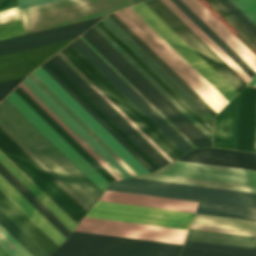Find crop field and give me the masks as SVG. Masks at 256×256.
<instances>
[{
	"label": "crop field",
	"mask_w": 256,
	"mask_h": 256,
	"mask_svg": "<svg viewBox=\"0 0 256 256\" xmlns=\"http://www.w3.org/2000/svg\"><path fill=\"white\" fill-rule=\"evenodd\" d=\"M130 0H62L20 10L26 34L106 16ZM101 18L0 41V55L76 38Z\"/></svg>",
	"instance_id": "8a807250"
},
{
	"label": "crop field",
	"mask_w": 256,
	"mask_h": 256,
	"mask_svg": "<svg viewBox=\"0 0 256 256\" xmlns=\"http://www.w3.org/2000/svg\"><path fill=\"white\" fill-rule=\"evenodd\" d=\"M181 161L256 170V154L230 150L193 149ZM137 178L256 193V171L175 161L162 170Z\"/></svg>",
	"instance_id": "ac0d7876"
},
{
	"label": "crop field",
	"mask_w": 256,
	"mask_h": 256,
	"mask_svg": "<svg viewBox=\"0 0 256 256\" xmlns=\"http://www.w3.org/2000/svg\"><path fill=\"white\" fill-rule=\"evenodd\" d=\"M0 127L74 199L89 210L102 192L6 99L0 103Z\"/></svg>",
	"instance_id": "34b2d1b8"
},
{
	"label": "crop field",
	"mask_w": 256,
	"mask_h": 256,
	"mask_svg": "<svg viewBox=\"0 0 256 256\" xmlns=\"http://www.w3.org/2000/svg\"><path fill=\"white\" fill-rule=\"evenodd\" d=\"M107 190L199 201L200 214L256 220V194L131 178Z\"/></svg>",
	"instance_id": "412701ff"
},
{
	"label": "crop field",
	"mask_w": 256,
	"mask_h": 256,
	"mask_svg": "<svg viewBox=\"0 0 256 256\" xmlns=\"http://www.w3.org/2000/svg\"><path fill=\"white\" fill-rule=\"evenodd\" d=\"M182 246L73 231L50 256H179Z\"/></svg>",
	"instance_id": "f4fd0767"
},
{
	"label": "crop field",
	"mask_w": 256,
	"mask_h": 256,
	"mask_svg": "<svg viewBox=\"0 0 256 256\" xmlns=\"http://www.w3.org/2000/svg\"><path fill=\"white\" fill-rule=\"evenodd\" d=\"M161 113H163L197 147L211 142L191 124L153 85H151L113 46L93 27L81 35Z\"/></svg>",
	"instance_id": "dd49c442"
},
{
	"label": "crop field",
	"mask_w": 256,
	"mask_h": 256,
	"mask_svg": "<svg viewBox=\"0 0 256 256\" xmlns=\"http://www.w3.org/2000/svg\"><path fill=\"white\" fill-rule=\"evenodd\" d=\"M256 89L245 87L216 117L213 147L256 152Z\"/></svg>",
	"instance_id": "e52e79f7"
},
{
	"label": "crop field",
	"mask_w": 256,
	"mask_h": 256,
	"mask_svg": "<svg viewBox=\"0 0 256 256\" xmlns=\"http://www.w3.org/2000/svg\"><path fill=\"white\" fill-rule=\"evenodd\" d=\"M0 150L76 224L87 212L1 128Z\"/></svg>",
	"instance_id": "d8731c3e"
},
{
	"label": "crop field",
	"mask_w": 256,
	"mask_h": 256,
	"mask_svg": "<svg viewBox=\"0 0 256 256\" xmlns=\"http://www.w3.org/2000/svg\"><path fill=\"white\" fill-rule=\"evenodd\" d=\"M192 214L97 201L86 216L187 230Z\"/></svg>",
	"instance_id": "5a996713"
},
{
	"label": "crop field",
	"mask_w": 256,
	"mask_h": 256,
	"mask_svg": "<svg viewBox=\"0 0 256 256\" xmlns=\"http://www.w3.org/2000/svg\"><path fill=\"white\" fill-rule=\"evenodd\" d=\"M145 4L237 93L247 84L160 0L145 2Z\"/></svg>",
	"instance_id": "3316defc"
},
{
	"label": "crop field",
	"mask_w": 256,
	"mask_h": 256,
	"mask_svg": "<svg viewBox=\"0 0 256 256\" xmlns=\"http://www.w3.org/2000/svg\"><path fill=\"white\" fill-rule=\"evenodd\" d=\"M132 8L154 30H156L202 77H204L228 102L237 94L144 3L132 6Z\"/></svg>",
	"instance_id": "28ad6ade"
},
{
	"label": "crop field",
	"mask_w": 256,
	"mask_h": 256,
	"mask_svg": "<svg viewBox=\"0 0 256 256\" xmlns=\"http://www.w3.org/2000/svg\"><path fill=\"white\" fill-rule=\"evenodd\" d=\"M75 230L180 244L184 243L187 232L88 217H84Z\"/></svg>",
	"instance_id": "d1516ede"
},
{
	"label": "crop field",
	"mask_w": 256,
	"mask_h": 256,
	"mask_svg": "<svg viewBox=\"0 0 256 256\" xmlns=\"http://www.w3.org/2000/svg\"><path fill=\"white\" fill-rule=\"evenodd\" d=\"M33 73L49 89H51L84 123H86L138 175L149 172L110 133H108L83 107H81L55 80H53L41 67L38 68Z\"/></svg>",
	"instance_id": "22f410ed"
},
{
	"label": "crop field",
	"mask_w": 256,
	"mask_h": 256,
	"mask_svg": "<svg viewBox=\"0 0 256 256\" xmlns=\"http://www.w3.org/2000/svg\"><path fill=\"white\" fill-rule=\"evenodd\" d=\"M102 192L109 184L14 91L6 98Z\"/></svg>",
	"instance_id": "cbeb9de0"
},
{
	"label": "crop field",
	"mask_w": 256,
	"mask_h": 256,
	"mask_svg": "<svg viewBox=\"0 0 256 256\" xmlns=\"http://www.w3.org/2000/svg\"><path fill=\"white\" fill-rule=\"evenodd\" d=\"M120 12L132 22L156 47H158L182 72H184L221 109L228 103L205 79H203L156 31H154L131 7Z\"/></svg>",
	"instance_id": "5142ce71"
},
{
	"label": "crop field",
	"mask_w": 256,
	"mask_h": 256,
	"mask_svg": "<svg viewBox=\"0 0 256 256\" xmlns=\"http://www.w3.org/2000/svg\"><path fill=\"white\" fill-rule=\"evenodd\" d=\"M67 77H69L104 113H106L141 149H143L160 167L168 162L149 145L114 109H112L77 73H75L58 55L50 59Z\"/></svg>",
	"instance_id": "d9b57169"
},
{
	"label": "crop field",
	"mask_w": 256,
	"mask_h": 256,
	"mask_svg": "<svg viewBox=\"0 0 256 256\" xmlns=\"http://www.w3.org/2000/svg\"><path fill=\"white\" fill-rule=\"evenodd\" d=\"M71 41L0 56V81L28 75Z\"/></svg>",
	"instance_id": "733c2abd"
},
{
	"label": "crop field",
	"mask_w": 256,
	"mask_h": 256,
	"mask_svg": "<svg viewBox=\"0 0 256 256\" xmlns=\"http://www.w3.org/2000/svg\"><path fill=\"white\" fill-rule=\"evenodd\" d=\"M101 21L212 128L213 118L162 68H160L126 33H124L108 16Z\"/></svg>",
	"instance_id": "4a817a6b"
},
{
	"label": "crop field",
	"mask_w": 256,
	"mask_h": 256,
	"mask_svg": "<svg viewBox=\"0 0 256 256\" xmlns=\"http://www.w3.org/2000/svg\"><path fill=\"white\" fill-rule=\"evenodd\" d=\"M86 57L112 84H114L141 112H143L169 139L184 153L190 148L176 136L149 108H147L121 81H119L92 53L77 39L71 43Z\"/></svg>",
	"instance_id": "bc2a9ffb"
},
{
	"label": "crop field",
	"mask_w": 256,
	"mask_h": 256,
	"mask_svg": "<svg viewBox=\"0 0 256 256\" xmlns=\"http://www.w3.org/2000/svg\"><path fill=\"white\" fill-rule=\"evenodd\" d=\"M65 49L78 62H80L106 89H108L134 116H136L177 157L184 154L143 113H141L114 85H112L86 58H84L71 44L67 46Z\"/></svg>",
	"instance_id": "214f88e0"
},
{
	"label": "crop field",
	"mask_w": 256,
	"mask_h": 256,
	"mask_svg": "<svg viewBox=\"0 0 256 256\" xmlns=\"http://www.w3.org/2000/svg\"><path fill=\"white\" fill-rule=\"evenodd\" d=\"M182 1L256 72V56L237 37L216 19L198 0Z\"/></svg>",
	"instance_id": "92a150f3"
},
{
	"label": "crop field",
	"mask_w": 256,
	"mask_h": 256,
	"mask_svg": "<svg viewBox=\"0 0 256 256\" xmlns=\"http://www.w3.org/2000/svg\"><path fill=\"white\" fill-rule=\"evenodd\" d=\"M99 200L150 206V207H158V208H166V209H174V210H182V211H190V212L196 211V207L198 203L194 201L160 198V197H152V196H144V195L127 194V193H118V192H110V191H105Z\"/></svg>",
	"instance_id": "dafd665d"
},
{
	"label": "crop field",
	"mask_w": 256,
	"mask_h": 256,
	"mask_svg": "<svg viewBox=\"0 0 256 256\" xmlns=\"http://www.w3.org/2000/svg\"><path fill=\"white\" fill-rule=\"evenodd\" d=\"M0 208L10 218H12L48 254L58 246L21 209H19L1 190H0Z\"/></svg>",
	"instance_id": "00972430"
},
{
	"label": "crop field",
	"mask_w": 256,
	"mask_h": 256,
	"mask_svg": "<svg viewBox=\"0 0 256 256\" xmlns=\"http://www.w3.org/2000/svg\"><path fill=\"white\" fill-rule=\"evenodd\" d=\"M58 76L84 103H86L112 130H114L140 157L154 170L160 167L141 150L106 114H104L69 78H67L50 60L44 63Z\"/></svg>",
	"instance_id": "a9b5d70f"
},
{
	"label": "crop field",
	"mask_w": 256,
	"mask_h": 256,
	"mask_svg": "<svg viewBox=\"0 0 256 256\" xmlns=\"http://www.w3.org/2000/svg\"><path fill=\"white\" fill-rule=\"evenodd\" d=\"M190 228L256 236V222L220 218L200 214H195Z\"/></svg>",
	"instance_id": "4177f3b9"
},
{
	"label": "crop field",
	"mask_w": 256,
	"mask_h": 256,
	"mask_svg": "<svg viewBox=\"0 0 256 256\" xmlns=\"http://www.w3.org/2000/svg\"><path fill=\"white\" fill-rule=\"evenodd\" d=\"M0 189L21 208L58 245L65 237L53 227L29 202H27L4 178L0 176ZM46 234V235H47ZM47 235V236H48ZM48 236V237H49ZM49 237V238H50Z\"/></svg>",
	"instance_id": "730fd06b"
},
{
	"label": "crop field",
	"mask_w": 256,
	"mask_h": 256,
	"mask_svg": "<svg viewBox=\"0 0 256 256\" xmlns=\"http://www.w3.org/2000/svg\"><path fill=\"white\" fill-rule=\"evenodd\" d=\"M30 105L60 136H62L92 167H94L109 183L115 179L99 165L69 134H67L36 102H34L19 86L14 90Z\"/></svg>",
	"instance_id": "eef30255"
},
{
	"label": "crop field",
	"mask_w": 256,
	"mask_h": 256,
	"mask_svg": "<svg viewBox=\"0 0 256 256\" xmlns=\"http://www.w3.org/2000/svg\"><path fill=\"white\" fill-rule=\"evenodd\" d=\"M0 163L9 170L32 194H34L58 219L71 231L75 223L56 206L20 169H18L1 151Z\"/></svg>",
	"instance_id": "ae1a2a85"
},
{
	"label": "crop field",
	"mask_w": 256,
	"mask_h": 256,
	"mask_svg": "<svg viewBox=\"0 0 256 256\" xmlns=\"http://www.w3.org/2000/svg\"><path fill=\"white\" fill-rule=\"evenodd\" d=\"M38 92L61 116H63L87 141H89L112 165H114L126 178L132 175L123 168L95 139H93L69 114H67L43 89L30 77L25 80Z\"/></svg>",
	"instance_id": "d3111659"
},
{
	"label": "crop field",
	"mask_w": 256,
	"mask_h": 256,
	"mask_svg": "<svg viewBox=\"0 0 256 256\" xmlns=\"http://www.w3.org/2000/svg\"><path fill=\"white\" fill-rule=\"evenodd\" d=\"M73 65H75L101 92H103L129 119H131L157 146H159L172 160L177 158L164 144H162L136 117H134L108 90H106L80 63H78L65 49L60 51Z\"/></svg>",
	"instance_id": "750c4746"
},
{
	"label": "crop field",
	"mask_w": 256,
	"mask_h": 256,
	"mask_svg": "<svg viewBox=\"0 0 256 256\" xmlns=\"http://www.w3.org/2000/svg\"><path fill=\"white\" fill-rule=\"evenodd\" d=\"M93 27L211 141L212 135L203 126H201L173 97H171L143 68H141L112 38H110L97 24Z\"/></svg>",
	"instance_id": "bd1437ed"
},
{
	"label": "crop field",
	"mask_w": 256,
	"mask_h": 256,
	"mask_svg": "<svg viewBox=\"0 0 256 256\" xmlns=\"http://www.w3.org/2000/svg\"><path fill=\"white\" fill-rule=\"evenodd\" d=\"M182 10L208 37H210L236 64H238L251 78L256 74L237 54H235L196 14H194L181 0H171Z\"/></svg>",
	"instance_id": "1d83c4d3"
},
{
	"label": "crop field",
	"mask_w": 256,
	"mask_h": 256,
	"mask_svg": "<svg viewBox=\"0 0 256 256\" xmlns=\"http://www.w3.org/2000/svg\"><path fill=\"white\" fill-rule=\"evenodd\" d=\"M0 174L16 188L48 221H50L66 238L70 230L58 220L34 195H32L9 171L0 164Z\"/></svg>",
	"instance_id": "120bbe31"
},
{
	"label": "crop field",
	"mask_w": 256,
	"mask_h": 256,
	"mask_svg": "<svg viewBox=\"0 0 256 256\" xmlns=\"http://www.w3.org/2000/svg\"><path fill=\"white\" fill-rule=\"evenodd\" d=\"M187 239L256 248V237L190 229Z\"/></svg>",
	"instance_id": "d32e631a"
},
{
	"label": "crop field",
	"mask_w": 256,
	"mask_h": 256,
	"mask_svg": "<svg viewBox=\"0 0 256 256\" xmlns=\"http://www.w3.org/2000/svg\"><path fill=\"white\" fill-rule=\"evenodd\" d=\"M171 9L191 30H193L213 51H215L235 72H237L247 83L251 79L242 71L226 54H224L192 21H190L170 0H161ZM236 73V74H237ZM237 74V75H238ZM238 75V76H239ZM239 76V77H240ZM240 77V78H241ZM241 78V79H242ZM242 79V80H243ZM243 80V81H244Z\"/></svg>",
	"instance_id": "5866460e"
},
{
	"label": "crop field",
	"mask_w": 256,
	"mask_h": 256,
	"mask_svg": "<svg viewBox=\"0 0 256 256\" xmlns=\"http://www.w3.org/2000/svg\"><path fill=\"white\" fill-rule=\"evenodd\" d=\"M115 14L132 29L164 62H166L199 96H201L217 113L221 110L210 98H208L184 73H182L158 48H156L132 23H130L119 11Z\"/></svg>",
	"instance_id": "028f5c9d"
},
{
	"label": "crop field",
	"mask_w": 256,
	"mask_h": 256,
	"mask_svg": "<svg viewBox=\"0 0 256 256\" xmlns=\"http://www.w3.org/2000/svg\"><path fill=\"white\" fill-rule=\"evenodd\" d=\"M97 24L110 37H112L139 65H141L168 93H170L197 121H199L212 134V129L195 112H193L158 76H156L120 39H118L101 21L98 22Z\"/></svg>",
	"instance_id": "e1f06a70"
},
{
	"label": "crop field",
	"mask_w": 256,
	"mask_h": 256,
	"mask_svg": "<svg viewBox=\"0 0 256 256\" xmlns=\"http://www.w3.org/2000/svg\"><path fill=\"white\" fill-rule=\"evenodd\" d=\"M0 224L33 256H47L22 230L0 211Z\"/></svg>",
	"instance_id": "0bd39190"
},
{
	"label": "crop field",
	"mask_w": 256,
	"mask_h": 256,
	"mask_svg": "<svg viewBox=\"0 0 256 256\" xmlns=\"http://www.w3.org/2000/svg\"><path fill=\"white\" fill-rule=\"evenodd\" d=\"M41 88H43L67 113H69L93 138H95L119 163H121L133 176L137 174L120 159L88 126H86L57 96H55L33 73L29 75ZM120 164V165H121ZM121 165V166H122ZM122 166V167H123ZM123 167V168H124Z\"/></svg>",
	"instance_id": "b80d0937"
},
{
	"label": "crop field",
	"mask_w": 256,
	"mask_h": 256,
	"mask_svg": "<svg viewBox=\"0 0 256 256\" xmlns=\"http://www.w3.org/2000/svg\"><path fill=\"white\" fill-rule=\"evenodd\" d=\"M212 6L248 43L256 49V37L239 22L218 0H205Z\"/></svg>",
	"instance_id": "c035e120"
},
{
	"label": "crop field",
	"mask_w": 256,
	"mask_h": 256,
	"mask_svg": "<svg viewBox=\"0 0 256 256\" xmlns=\"http://www.w3.org/2000/svg\"><path fill=\"white\" fill-rule=\"evenodd\" d=\"M184 247L256 256V249L246 248V247H238V246H230V245H222V244H214V243H206V242H198V241H190V240L186 241Z\"/></svg>",
	"instance_id": "c21b1889"
},
{
	"label": "crop field",
	"mask_w": 256,
	"mask_h": 256,
	"mask_svg": "<svg viewBox=\"0 0 256 256\" xmlns=\"http://www.w3.org/2000/svg\"><path fill=\"white\" fill-rule=\"evenodd\" d=\"M0 244L12 256H32L1 225H0ZM1 245H0V256H11Z\"/></svg>",
	"instance_id": "03da06ac"
},
{
	"label": "crop field",
	"mask_w": 256,
	"mask_h": 256,
	"mask_svg": "<svg viewBox=\"0 0 256 256\" xmlns=\"http://www.w3.org/2000/svg\"><path fill=\"white\" fill-rule=\"evenodd\" d=\"M53 79H55L81 106H83L108 132H110L136 159H138L150 172L153 170L135 154L100 118H98L63 82H61L44 64L41 66Z\"/></svg>",
	"instance_id": "b54c1fbb"
},
{
	"label": "crop field",
	"mask_w": 256,
	"mask_h": 256,
	"mask_svg": "<svg viewBox=\"0 0 256 256\" xmlns=\"http://www.w3.org/2000/svg\"><path fill=\"white\" fill-rule=\"evenodd\" d=\"M34 101H36L66 132H68L99 164H101L116 180L120 178L104 164L73 132H71L39 99H37L22 83L19 85Z\"/></svg>",
	"instance_id": "5d738f31"
},
{
	"label": "crop field",
	"mask_w": 256,
	"mask_h": 256,
	"mask_svg": "<svg viewBox=\"0 0 256 256\" xmlns=\"http://www.w3.org/2000/svg\"><path fill=\"white\" fill-rule=\"evenodd\" d=\"M37 98H39L70 130H72L103 162H105L120 178L124 176L113 167L89 142H87L64 118H62L38 93L25 81L22 82Z\"/></svg>",
	"instance_id": "d23c7cc5"
},
{
	"label": "crop field",
	"mask_w": 256,
	"mask_h": 256,
	"mask_svg": "<svg viewBox=\"0 0 256 256\" xmlns=\"http://www.w3.org/2000/svg\"><path fill=\"white\" fill-rule=\"evenodd\" d=\"M123 27H125L149 52H151L175 77H177L201 102H203L215 115L217 114L201 97H199L167 64H165L132 30H130L114 13L111 14ZM202 103V104H203ZM203 104V105H204ZM204 105V106H205ZM205 106V107H206Z\"/></svg>",
	"instance_id": "425ffa30"
},
{
	"label": "crop field",
	"mask_w": 256,
	"mask_h": 256,
	"mask_svg": "<svg viewBox=\"0 0 256 256\" xmlns=\"http://www.w3.org/2000/svg\"><path fill=\"white\" fill-rule=\"evenodd\" d=\"M109 17L126 32L159 66H161L195 101H197L213 118L214 114L205 107L177 78H175L151 53H149L125 28H123L111 15Z\"/></svg>",
	"instance_id": "25e5ab78"
},
{
	"label": "crop field",
	"mask_w": 256,
	"mask_h": 256,
	"mask_svg": "<svg viewBox=\"0 0 256 256\" xmlns=\"http://www.w3.org/2000/svg\"><path fill=\"white\" fill-rule=\"evenodd\" d=\"M219 1L256 36V26L231 1Z\"/></svg>",
	"instance_id": "73cf0c24"
},
{
	"label": "crop field",
	"mask_w": 256,
	"mask_h": 256,
	"mask_svg": "<svg viewBox=\"0 0 256 256\" xmlns=\"http://www.w3.org/2000/svg\"><path fill=\"white\" fill-rule=\"evenodd\" d=\"M97 55H99L135 92H137L173 129H175L193 148L196 146L185 137L163 114H161L140 92H138L117 70H115L93 47L79 36Z\"/></svg>",
	"instance_id": "89e229c0"
},
{
	"label": "crop field",
	"mask_w": 256,
	"mask_h": 256,
	"mask_svg": "<svg viewBox=\"0 0 256 256\" xmlns=\"http://www.w3.org/2000/svg\"><path fill=\"white\" fill-rule=\"evenodd\" d=\"M22 34L24 33L20 20L0 25V40Z\"/></svg>",
	"instance_id": "1f2cbd36"
},
{
	"label": "crop field",
	"mask_w": 256,
	"mask_h": 256,
	"mask_svg": "<svg viewBox=\"0 0 256 256\" xmlns=\"http://www.w3.org/2000/svg\"><path fill=\"white\" fill-rule=\"evenodd\" d=\"M256 25V0H231Z\"/></svg>",
	"instance_id": "dbb93151"
},
{
	"label": "crop field",
	"mask_w": 256,
	"mask_h": 256,
	"mask_svg": "<svg viewBox=\"0 0 256 256\" xmlns=\"http://www.w3.org/2000/svg\"><path fill=\"white\" fill-rule=\"evenodd\" d=\"M90 52H92L119 80H121L147 107H149L176 135H178L191 149L192 147L173 130L137 93H135L99 56H97L80 38H77Z\"/></svg>",
	"instance_id": "0fb4a251"
},
{
	"label": "crop field",
	"mask_w": 256,
	"mask_h": 256,
	"mask_svg": "<svg viewBox=\"0 0 256 256\" xmlns=\"http://www.w3.org/2000/svg\"><path fill=\"white\" fill-rule=\"evenodd\" d=\"M95 90H97L124 118H126L154 147H156L169 161H172L160 150L140 129H138L118 108H116L96 87H94L61 53H59Z\"/></svg>",
	"instance_id": "1d79db26"
},
{
	"label": "crop field",
	"mask_w": 256,
	"mask_h": 256,
	"mask_svg": "<svg viewBox=\"0 0 256 256\" xmlns=\"http://www.w3.org/2000/svg\"><path fill=\"white\" fill-rule=\"evenodd\" d=\"M181 256H241V255H234V254H226V253H218V252H210V251L184 248Z\"/></svg>",
	"instance_id": "9d1cf04e"
},
{
	"label": "crop field",
	"mask_w": 256,
	"mask_h": 256,
	"mask_svg": "<svg viewBox=\"0 0 256 256\" xmlns=\"http://www.w3.org/2000/svg\"><path fill=\"white\" fill-rule=\"evenodd\" d=\"M26 77V76H25ZM25 77L0 82V101L15 88Z\"/></svg>",
	"instance_id": "447ae74e"
},
{
	"label": "crop field",
	"mask_w": 256,
	"mask_h": 256,
	"mask_svg": "<svg viewBox=\"0 0 256 256\" xmlns=\"http://www.w3.org/2000/svg\"><path fill=\"white\" fill-rule=\"evenodd\" d=\"M20 19L17 7L0 11V24Z\"/></svg>",
	"instance_id": "0765c3eb"
},
{
	"label": "crop field",
	"mask_w": 256,
	"mask_h": 256,
	"mask_svg": "<svg viewBox=\"0 0 256 256\" xmlns=\"http://www.w3.org/2000/svg\"><path fill=\"white\" fill-rule=\"evenodd\" d=\"M58 0H18L20 9Z\"/></svg>",
	"instance_id": "db79e9e6"
},
{
	"label": "crop field",
	"mask_w": 256,
	"mask_h": 256,
	"mask_svg": "<svg viewBox=\"0 0 256 256\" xmlns=\"http://www.w3.org/2000/svg\"><path fill=\"white\" fill-rule=\"evenodd\" d=\"M17 6L16 0H0V10Z\"/></svg>",
	"instance_id": "7b73153f"
},
{
	"label": "crop field",
	"mask_w": 256,
	"mask_h": 256,
	"mask_svg": "<svg viewBox=\"0 0 256 256\" xmlns=\"http://www.w3.org/2000/svg\"><path fill=\"white\" fill-rule=\"evenodd\" d=\"M256 83V76L251 80V82L248 85L254 86Z\"/></svg>",
	"instance_id": "78b8030e"
},
{
	"label": "crop field",
	"mask_w": 256,
	"mask_h": 256,
	"mask_svg": "<svg viewBox=\"0 0 256 256\" xmlns=\"http://www.w3.org/2000/svg\"><path fill=\"white\" fill-rule=\"evenodd\" d=\"M133 3H137V2H141V1H145V0H131Z\"/></svg>",
	"instance_id": "0f1d7ab4"
},
{
	"label": "crop field",
	"mask_w": 256,
	"mask_h": 256,
	"mask_svg": "<svg viewBox=\"0 0 256 256\" xmlns=\"http://www.w3.org/2000/svg\"><path fill=\"white\" fill-rule=\"evenodd\" d=\"M256 86V85H255Z\"/></svg>",
	"instance_id": "e1d0b9f6"
}]
</instances>
